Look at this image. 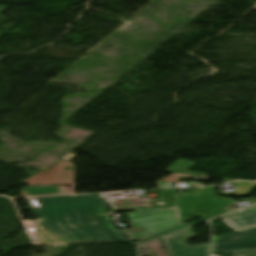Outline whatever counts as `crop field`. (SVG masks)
Segmentation results:
<instances>
[{
	"mask_svg": "<svg viewBox=\"0 0 256 256\" xmlns=\"http://www.w3.org/2000/svg\"><path fill=\"white\" fill-rule=\"evenodd\" d=\"M256 248V228L213 236V251Z\"/></svg>",
	"mask_w": 256,
	"mask_h": 256,
	"instance_id": "5",
	"label": "crop field"
},
{
	"mask_svg": "<svg viewBox=\"0 0 256 256\" xmlns=\"http://www.w3.org/2000/svg\"><path fill=\"white\" fill-rule=\"evenodd\" d=\"M216 186L209 188H199L200 193L177 196L178 213L181 223L190 221L191 217L201 216L207 220L227 212L224 208L235 203L233 199L218 197L214 191Z\"/></svg>",
	"mask_w": 256,
	"mask_h": 256,
	"instance_id": "2",
	"label": "crop field"
},
{
	"mask_svg": "<svg viewBox=\"0 0 256 256\" xmlns=\"http://www.w3.org/2000/svg\"><path fill=\"white\" fill-rule=\"evenodd\" d=\"M220 218L237 230L256 227V206L244 208Z\"/></svg>",
	"mask_w": 256,
	"mask_h": 256,
	"instance_id": "7",
	"label": "crop field"
},
{
	"mask_svg": "<svg viewBox=\"0 0 256 256\" xmlns=\"http://www.w3.org/2000/svg\"><path fill=\"white\" fill-rule=\"evenodd\" d=\"M116 201H124V200L123 199H119V200H112V201H110L111 202V206H112L114 212H119Z\"/></svg>",
	"mask_w": 256,
	"mask_h": 256,
	"instance_id": "13",
	"label": "crop field"
},
{
	"mask_svg": "<svg viewBox=\"0 0 256 256\" xmlns=\"http://www.w3.org/2000/svg\"><path fill=\"white\" fill-rule=\"evenodd\" d=\"M232 256H256V249H245L239 251H230Z\"/></svg>",
	"mask_w": 256,
	"mask_h": 256,
	"instance_id": "12",
	"label": "crop field"
},
{
	"mask_svg": "<svg viewBox=\"0 0 256 256\" xmlns=\"http://www.w3.org/2000/svg\"><path fill=\"white\" fill-rule=\"evenodd\" d=\"M195 238L192 229L164 238L169 256H209V244L188 246L186 240Z\"/></svg>",
	"mask_w": 256,
	"mask_h": 256,
	"instance_id": "6",
	"label": "crop field"
},
{
	"mask_svg": "<svg viewBox=\"0 0 256 256\" xmlns=\"http://www.w3.org/2000/svg\"><path fill=\"white\" fill-rule=\"evenodd\" d=\"M234 185H235V196H242V195H247L249 192H251L256 186V183L235 182Z\"/></svg>",
	"mask_w": 256,
	"mask_h": 256,
	"instance_id": "10",
	"label": "crop field"
},
{
	"mask_svg": "<svg viewBox=\"0 0 256 256\" xmlns=\"http://www.w3.org/2000/svg\"><path fill=\"white\" fill-rule=\"evenodd\" d=\"M111 221H112V220H110V221H106V222H103V223H100V225H103V224H109V223H111Z\"/></svg>",
	"mask_w": 256,
	"mask_h": 256,
	"instance_id": "14",
	"label": "crop field"
},
{
	"mask_svg": "<svg viewBox=\"0 0 256 256\" xmlns=\"http://www.w3.org/2000/svg\"><path fill=\"white\" fill-rule=\"evenodd\" d=\"M189 226H191V225L186 224V223L181 224V225L176 226V227H174V228H172V229H169V230H167V231H164V232H161V233H159V234H156V235H153V236H151V237H148V238H145V239H143V240H140L139 242H137V244L142 245V244H144V243H146V242H148V241H151V240H154V239H156V238H159V237L168 235V234H170V233L176 232V231H178V230H181V229L186 228V227H189Z\"/></svg>",
	"mask_w": 256,
	"mask_h": 256,
	"instance_id": "11",
	"label": "crop field"
},
{
	"mask_svg": "<svg viewBox=\"0 0 256 256\" xmlns=\"http://www.w3.org/2000/svg\"><path fill=\"white\" fill-rule=\"evenodd\" d=\"M110 219H113L111 214L59 218L66 230H71L81 243L127 240L113 224L98 225Z\"/></svg>",
	"mask_w": 256,
	"mask_h": 256,
	"instance_id": "3",
	"label": "crop field"
},
{
	"mask_svg": "<svg viewBox=\"0 0 256 256\" xmlns=\"http://www.w3.org/2000/svg\"><path fill=\"white\" fill-rule=\"evenodd\" d=\"M23 190H24L25 197L63 194L60 186H35L31 188H26Z\"/></svg>",
	"mask_w": 256,
	"mask_h": 256,
	"instance_id": "8",
	"label": "crop field"
},
{
	"mask_svg": "<svg viewBox=\"0 0 256 256\" xmlns=\"http://www.w3.org/2000/svg\"><path fill=\"white\" fill-rule=\"evenodd\" d=\"M104 214H107V213H104ZM94 215H97V214H94ZM84 216H87V215H84Z\"/></svg>",
	"mask_w": 256,
	"mask_h": 256,
	"instance_id": "15",
	"label": "crop field"
},
{
	"mask_svg": "<svg viewBox=\"0 0 256 256\" xmlns=\"http://www.w3.org/2000/svg\"><path fill=\"white\" fill-rule=\"evenodd\" d=\"M25 225L35 245L80 243L58 218L28 221Z\"/></svg>",
	"mask_w": 256,
	"mask_h": 256,
	"instance_id": "4",
	"label": "crop field"
},
{
	"mask_svg": "<svg viewBox=\"0 0 256 256\" xmlns=\"http://www.w3.org/2000/svg\"><path fill=\"white\" fill-rule=\"evenodd\" d=\"M195 164H197V163L179 159L177 162H175L171 167H169L164 172L184 173V174H192V175L207 177L208 174L187 171Z\"/></svg>",
	"mask_w": 256,
	"mask_h": 256,
	"instance_id": "9",
	"label": "crop field"
},
{
	"mask_svg": "<svg viewBox=\"0 0 256 256\" xmlns=\"http://www.w3.org/2000/svg\"><path fill=\"white\" fill-rule=\"evenodd\" d=\"M40 219L107 212L103 194L30 199Z\"/></svg>",
	"mask_w": 256,
	"mask_h": 256,
	"instance_id": "1",
	"label": "crop field"
}]
</instances>
